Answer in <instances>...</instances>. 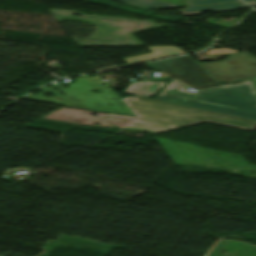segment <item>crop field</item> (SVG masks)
<instances>
[{
	"instance_id": "obj_1",
	"label": "crop field",
	"mask_w": 256,
	"mask_h": 256,
	"mask_svg": "<svg viewBox=\"0 0 256 256\" xmlns=\"http://www.w3.org/2000/svg\"><path fill=\"white\" fill-rule=\"evenodd\" d=\"M137 117L126 130L156 133L202 121L253 131L256 121L141 97L122 99ZM203 123V122H202Z\"/></svg>"
},
{
	"instance_id": "obj_2",
	"label": "crop field",
	"mask_w": 256,
	"mask_h": 256,
	"mask_svg": "<svg viewBox=\"0 0 256 256\" xmlns=\"http://www.w3.org/2000/svg\"><path fill=\"white\" fill-rule=\"evenodd\" d=\"M184 87L173 80L156 99L256 120V92L250 81L199 92Z\"/></svg>"
},
{
	"instance_id": "obj_3",
	"label": "crop field",
	"mask_w": 256,
	"mask_h": 256,
	"mask_svg": "<svg viewBox=\"0 0 256 256\" xmlns=\"http://www.w3.org/2000/svg\"><path fill=\"white\" fill-rule=\"evenodd\" d=\"M147 65L197 89L219 84L188 56L151 62Z\"/></svg>"
},
{
	"instance_id": "obj_4",
	"label": "crop field",
	"mask_w": 256,
	"mask_h": 256,
	"mask_svg": "<svg viewBox=\"0 0 256 256\" xmlns=\"http://www.w3.org/2000/svg\"><path fill=\"white\" fill-rule=\"evenodd\" d=\"M200 65L214 79L222 82H230L256 76V67L249 63L223 61L202 63Z\"/></svg>"
},
{
	"instance_id": "obj_5",
	"label": "crop field",
	"mask_w": 256,
	"mask_h": 256,
	"mask_svg": "<svg viewBox=\"0 0 256 256\" xmlns=\"http://www.w3.org/2000/svg\"><path fill=\"white\" fill-rule=\"evenodd\" d=\"M246 4L243 2L237 3H225V4H215V5H204V6H192L187 7V10L179 11L183 15H192V14H200L201 12L208 10H215L217 12H226V11H235L238 9L245 8Z\"/></svg>"
},
{
	"instance_id": "obj_6",
	"label": "crop field",
	"mask_w": 256,
	"mask_h": 256,
	"mask_svg": "<svg viewBox=\"0 0 256 256\" xmlns=\"http://www.w3.org/2000/svg\"><path fill=\"white\" fill-rule=\"evenodd\" d=\"M165 84L166 81L131 83L125 92L135 96L147 97L154 95Z\"/></svg>"
},
{
	"instance_id": "obj_7",
	"label": "crop field",
	"mask_w": 256,
	"mask_h": 256,
	"mask_svg": "<svg viewBox=\"0 0 256 256\" xmlns=\"http://www.w3.org/2000/svg\"><path fill=\"white\" fill-rule=\"evenodd\" d=\"M147 9H157V8H166V7H175L178 5L158 1V0H115Z\"/></svg>"
},
{
	"instance_id": "obj_8",
	"label": "crop field",
	"mask_w": 256,
	"mask_h": 256,
	"mask_svg": "<svg viewBox=\"0 0 256 256\" xmlns=\"http://www.w3.org/2000/svg\"><path fill=\"white\" fill-rule=\"evenodd\" d=\"M226 60H234V61H242V62H249L253 63L256 66V58L243 52L237 55H233L228 57Z\"/></svg>"
},
{
	"instance_id": "obj_9",
	"label": "crop field",
	"mask_w": 256,
	"mask_h": 256,
	"mask_svg": "<svg viewBox=\"0 0 256 256\" xmlns=\"http://www.w3.org/2000/svg\"><path fill=\"white\" fill-rule=\"evenodd\" d=\"M231 1H240V0H187L188 5L204 4V3H216V2H231Z\"/></svg>"
},
{
	"instance_id": "obj_10",
	"label": "crop field",
	"mask_w": 256,
	"mask_h": 256,
	"mask_svg": "<svg viewBox=\"0 0 256 256\" xmlns=\"http://www.w3.org/2000/svg\"><path fill=\"white\" fill-rule=\"evenodd\" d=\"M250 5H254V4H256V1H254V2H251V3H249Z\"/></svg>"
},
{
	"instance_id": "obj_11",
	"label": "crop field",
	"mask_w": 256,
	"mask_h": 256,
	"mask_svg": "<svg viewBox=\"0 0 256 256\" xmlns=\"http://www.w3.org/2000/svg\"><path fill=\"white\" fill-rule=\"evenodd\" d=\"M253 81H254V83H255V85H256V78H254Z\"/></svg>"
},
{
	"instance_id": "obj_12",
	"label": "crop field",
	"mask_w": 256,
	"mask_h": 256,
	"mask_svg": "<svg viewBox=\"0 0 256 256\" xmlns=\"http://www.w3.org/2000/svg\"><path fill=\"white\" fill-rule=\"evenodd\" d=\"M246 1H252V0H246Z\"/></svg>"
}]
</instances>
